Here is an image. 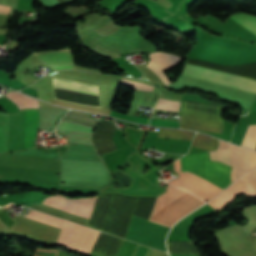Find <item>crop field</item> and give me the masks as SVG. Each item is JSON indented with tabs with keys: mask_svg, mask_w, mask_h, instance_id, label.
I'll return each mask as SVG.
<instances>
[{
	"mask_svg": "<svg viewBox=\"0 0 256 256\" xmlns=\"http://www.w3.org/2000/svg\"><path fill=\"white\" fill-rule=\"evenodd\" d=\"M181 166L182 172L189 171L223 189L231 183V167L220 162L210 161L208 151L186 155L181 158ZM189 172L182 173L178 187L186 189L206 201L223 190Z\"/></svg>",
	"mask_w": 256,
	"mask_h": 256,
	"instance_id": "8a807250",
	"label": "crop field"
},
{
	"mask_svg": "<svg viewBox=\"0 0 256 256\" xmlns=\"http://www.w3.org/2000/svg\"><path fill=\"white\" fill-rule=\"evenodd\" d=\"M204 201L171 185L155 206L150 221L171 227L179 218L185 216Z\"/></svg>",
	"mask_w": 256,
	"mask_h": 256,
	"instance_id": "ac0d7876",
	"label": "crop field"
},
{
	"mask_svg": "<svg viewBox=\"0 0 256 256\" xmlns=\"http://www.w3.org/2000/svg\"><path fill=\"white\" fill-rule=\"evenodd\" d=\"M222 106L183 101L181 127L221 133L223 120L220 118Z\"/></svg>",
	"mask_w": 256,
	"mask_h": 256,
	"instance_id": "34b2d1b8",
	"label": "crop field"
},
{
	"mask_svg": "<svg viewBox=\"0 0 256 256\" xmlns=\"http://www.w3.org/2000/svg\"><path fill=\"white\" fill-rule=\"evenodd\" d=\"M89 113L70 110L63 118V121L76 123L95 128L99 122L98 119L90 118ZM61 121L57 127V131L62 135V138L67 142L90 144L92 141L93 128L80 126Z\"/></svg>",
	"mask_w": 256,
	"mask_h": 256,
	"instance_id": "412701ff",
	"label": "crop field"
},
{
	"mask_svg": "<svg viewBox=\"0 0 256 256\" xmlns=\"http://www.w3.org/2000/svg\"><path fill=\"white\" fill-rule=\"evenodd\" d=\"M182 75L198 78L201 80L256 94V80L245 78L242 76L188 63L185 64Z\"/></svg>",
	"mask_w": 256,
	"mask_h": 256,
	"instance_id": "f4fd0767",
	"label": "crop field"
},
{
	"mask_svg": "<svg viewBox=\"0 0 256 256\" xmlns=\"http://www.w3.org/2000/svg\"><path fill=\"white\" fill-rule=\"evenodd\" d=\"M99 233L65 220L56 244L89 255Z\"/></svg>",
	"mask_w": 256,
	"mask_h": 256,
	"instance_id": "dd49c442",
	"label": "crop field"
},
{
	"mask_svg": "<svg viewBox=\"0 0 256 256\" xmlns=\"http://www.w3.org/2000/svg\"><path fill=\"white\" fill-rule=\"evenodd\" d=\"M212 160L221 161L231 166L232 145L229 149L209 151ZM245 150L233 145L231 178L234 181L244 174ZM256 168V153L246 150L245 173Z\"/></svg>",
	"mask_w": 256,
	"mask_h": 256,
	"instance_id": "e52e79f7",
	"label": "crop field"
},
{
	"mask_svg": "<svg viewBox=\"0 0 256 256\" xmlns=\"http://www.w3.org/2000/svg\"><path fill=\"white\" fill-rule=\"evenodd\" d=\"M240 194L256 196V170L242 176L208 204L218 211Z\"/></svg>",
	"mask_w": 256,
	"mask_h": 256,
	"instance_id": "d8731c3e",
	"label": "crop field"
},
{
	"mask_svg": "<svg viewBox=\"0 0 256 256\" xmlns=\"http://www.w3.org/2000/svg\"><path fill=\"white\" fill-rule=\"evenodd\" d=\"M56 196H59V195H56ZM96 197L97 196H94V197H91V198H82V199H77V200L84 201V202H87V203H90V204L94 205ZM47 200H50V201H53V202H56V203H59V204L65 205V206H69V207H72V208H75V209H78V210H81V211H84V212H87V213H90V214H91L92 209H93L92 207H88V206H85V205H81V204H78V203H74V202L67 201V200L60 199V198L53 197V196L47 197ZM47 200L44 201V203H43L44 205H47V206H50V207H53V208H57V209H60V210H63V211H66V212H69V213H72V214H75V215H79V216H82V217H85V218H88V219L90 217V214H87V213H84V212H81V211H78V210H75V209H72V208H68V207H65V206L47 201ZM70 200H74V199H70ZM77 200H74V201H77ZM80 201H78V202H80ZM81 203H83V202H81ZM87 203H85V204H87ZM90 204H88V205H90Z\"/></svg>",
	"mask_w": 256,
	"mask_h": 256,
	"instance_id": "5a996713",
	"label": "crop field"
},
{
	"mask_svg": "<svg viewBox=\"0 0 256 256\" xmlns=\"http://www.w3.org/2000/svg\"><path fill=\"white\" fill-rule=\"evenodd\" d=\"M115 129L116 127L114 123L111 122L101 120V122L98 124L96 132L93 136V141L100 154L117 149L112 140V135Z\"/></svg>",
	"mask_w": 256,
	"mask_h": 256,
	"instance_id": "3316defc",
	"label": "crop field"
},
{
	"mask_svg": "<svg viewBox=\"0 0 256 256\" xmlns=\"http://www.w3.org/2000/svg\"><path fill=\"white\" fill-rule=\"evenodd\" d=\"M149 58L153 61L152 63L151 60L149 61L148 65L151 64L148 68L154 71L167 86L170 82L163 72L180 63L181 58L161 52L150 53Z\"/></svg>",
	"mask_w": 256,
	"mask_h": 256,
	"instance_id": "28ad6ade",
	"label": "crop field"
},
{
	"mask_svg": "<svg viewBox=\"0 0 256 256\" xmlns=\"http://www.w3.org/2000/svg\"><path fill=\"white\" fill-rule=\"evenodd\" d=\"M45 51H49V50H45ZM39 52H43V51H39ZM35 55L42 62L44 66L72 65V57L69 49L37 53Z\"/></svg>",
	"mask_w": 256,
	"mask_h": 256,
	"instance_id": "d1516ede",
	"label": "crop field"
},
{
	"mask_svg": "<svg viewBox=\"0 0 256 256\" xmlns=\"http://www.w3.org/2000/svg\"><path fill=\"white\" fill-rule=\"evenodd\" d=\"M39 130L38 109H25L24 149L32 147Z\"/></svg>",
	"mask_w": 256,
	"mask_h": 256,
	"instance_id": "22f410ed",
	"label": "crop field"
},
{
	"mask_svg": "<svg viewBox=\"0 0 256 256\" xmlns=\"http://www.w3.org/2000/svg\"><path fill=\"white\" fill-rule=\"evenodd\" d=\"M53 86L60 87V88H66L86 93H92V94H98V85L85 83L81 81L76 80H70V79H64L59 77H54L52 79Z\"/></svg>",
	"mask_w": 256,
	"mask_h": 256,
	"instance_id": "cbeb9de0",
	"label": "crop field"
},
{
	"mask_svg": "<svg viewBox=\"0 0 256 256\" xmlns=\"http://www.w3.org/2000/svg\"><path fill=\"white\" fill-rule=\"evenodd\" d=\"M6 97L11 99L19 107L20 110L28 107L38 108L37 100L31 97L19 94L17 92H11Z\"/></svg>",
	"mask_w": 256,
	"mask_h": 256,
	"instance_id": "5142ce71",
	"label": "crop field"
},
{
	"mask_svg": "<svg viewBox=\"0 0 256 256\" xmlns=\"http://www.w3.org/2000/svg\"><path fill=\"white\" fill-rule=\"evenodd\" d=\"M24 216H26V215H24ZM28 216H30V218H33V219H36V220H39V221H42V222L60 227V228L62 227V224H63V221H64L63 219H59V218H56V217H53V216H49V215H46V214H43V213H39V212H36L32 209L29 212ZM28 216H26V217H28Z\"/></svg>",
	"mask_w": 256,
	"mask_h": 256,
	"instance_id": "d9b57169",
	"label": "crop field"
},
{
	"mask_svg": "<svg viewBox=\"0 0 256 256\" xmlns=\"http://www.w3.org/2000/svg\"><path fill=\"white\" fill-rule=\"evenodd\" d=\"M230 18H232L256 35V18L244 14H236L231 16Z\"/></svg>",
	"mask_w": 256,
	"mask_h": 256,
	"instance_id": "733c2abd",
	"label": "crop field"
},
{
	"mask_svg": "<svg viewBox=\"0 0 256 256\" xmlns=\"http://www.w3.org/2000/svg\"><path fill=\"white\" fill-rule=\"evenodd\" d=\"M158 136L169 137V138H179V139H192L193 133L184 130L175 129H161L159 128Z\"/></svg>",
	"mask_w": 256,
	"mask_h": 256,
	"instance_id": "4a817a6b",
	"label": "crop field"
},
{
	"mask_svg": "<svg viewBox=\"0 0 256 256\" xmlns=\"http://www.w3.org/2000/svg\"><path fill=\"white\" fill-rule=\"evenodd\" d=\"M217 144V139L208 137L206 135L197 134L193 146L205 149H213Z\"/></svg>",
	"mask_w": 256,
	"mask_h": 256,
	"instance_id": "bc2a9ffb",
	"label": "crop field"
},
{
	"mask_svg": "<svg viewBox=\"0 0 256 256\" xmlns=\"http://www.w3.org/2000/svg\"><path fill=\"white\" fill-rule=\"evenodd\" d=\"M255 134H256V125L249 126V128L243 138L241 146L251 149Z\"/></svg>",
	"mask_w": 256,
	"mask_h": 256,
	"instance_id": "214f88e0",
	"label": "crop field"
},
{
	"mask_svg": "<svg viewBox=\"0 0 256 256\" xmlns=\"http://www.w3.org/2000/svg\"><path fill=\"white\" fill-rule=\"evenodd\" d=\"M120 85L130 87V88L140 89V90H148V89H153L154 88V87L149 86V85H145V84L135 82V81L124 80V79L121 80Z\"/></svg>",
	"mask_w": 256,
	"mask_h": 256,
	"instance_id": "92a150f3",
	"label": "crop field"
},
{
	"mask_svg": "<svg viewBox=\"0 0 256 256\" xmlns=\"http://www.w3.org/2000/svg\"><path fill=\"white\" fill-rule=\"evenodd\" d=\"M110 116H115V117L126 119L128 121L144 123V124H147V121L149 119V118H144V117H133V116H129V115H123V114H120V113H117L114 111L111 112Z\"/></svg>",
	"mask_w": 256,
	"mask_h": 256,
	"instance_id": "dafd665d",
	"label": "crop field"
},
{
	"mask_svg": "<svg viewBox=\"0 0 256 256\" xmlns=\"http://www.w3.org/2000/svg\"><path fill=\"white\" fill-rule=\"evenodd\" d=\"M150 125L178 128V122L167 120L151 119Z\"/></svg>",
	"mask_w": 256,
	"mask_h": 256,
	"instance_id": "00972430",
	"label": "crop field"
},
{
	"mask_svg": "<svg viewBox=\"0 0 256 256\" xmlns=\"http://www.w3.org/2000/svg\"><path fill=\"white\" fill-rule=\"evenodd\" d=\"M0 7L11 9L10 6H2V5H0ZM3 8H0V17H3V18L6 19V17L8 16V13L10 12V10L3 9Z\"/></svg>",
	"mask_w": 256,
	"mask_h": 256,
	"instance_id": "a9b5d70f",
	"label": "crop field"
},
{
	"mask_svg": "<svg viewBox=\"0 0 256 256\" xmlns=\"http://www.w3.org/2000/svg\"><path fill=\"white\" fill-rule=\"evenodd\" d=\"M228 147H229V144H226V143L220 141L217 150H219V149H225V148H228Z\"/></svg>",
	"mask_w": 256,
	"mask_h": 256,
	"instance_id": "4177f3b9",
	"label": "crop field"
},
{
	"mask_svg": "<svg viewBox=\"0 0 256 256\" xmlns=\"http://www.w3.org/2000/svg\"><path fill=\"white\" fill-rule=\"evenodd\" d=\"M69 1H71V0H69Z\"/></svg>",
	"mask_w": 256,
	"mask_h": 256,
	"instance_id": "730fd06b",
	"label": "crop field"
}]
</instances>
